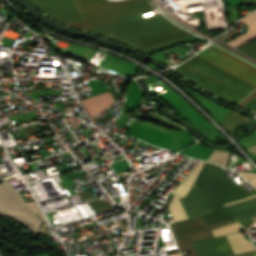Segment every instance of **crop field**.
Instances as JSON below:
<instances>
[{
    "mask_svg": "<svg viewBox=\"0 0 256 256\" xmlns=\"http://www.w3.org/2000/svg\"><path fill=\"white\" fill-rule=\"evenodd\" d=\"M173 24L158 14L98 34L121 41L144 52L193 36Z\"/></svg>",
    "mask_w": 256,
    "mask_h": 256,
    "instance_id": "1",
    "label": "crop field"
},
{
    "mask_svg": "<svg viewBox=\"0 0 256 256\" xmlns=\"http://www.w3.org/2000/svg\"><path fill=\"white\" fill-rule=\"evenodd\" d=\"M175 71L203 90L234 105L255 89L196 56L175 67Z\"/></svg>",
    "mask_w": 256,
    "mask_h": 256,
    "instance_id": "2",
    "label": "crop field"
},
{
    "mask_svg": "<svg viewBox=\"0 0 256 256\" xmlns=\"http://www.w3.org/2000/svg\"><path fill=\"white\" fill-rule=\"evenodd\" d=\"M83 20L70 25L79 29H89L131 15H135L154 7L147 0H73Z\"/></svg>",
    "mask_w": 256,
    "mask_h": 256,
    "instance_id": "3",
    "label": "crop field"
},
{
    "mask_svg": "<svg viewBox=\"0 0 256 256\" xmlns=\"http://www.w3.org/2000/svg\"><path fill=\"white\" fill-rule=\"evenodd\" d=\"M193 188L203 191L213 211L223 209L221 204L246 197L227 177L223 169L205 163Z\"/></svg>",
    "mask_w": 256,
    "mask_h": 256,
    "instance_id": "4",
    "label": "crop field"
},
{
    "mask_svg": "<svg viewBox=\"0 0 256 256\" xmlns=\"http://www.w3.org/2000/svg\"><path fill=\"white\" fill-rule=\"evenodd\" d=\"M36 212L46 222L34 202L25 203L21 195L6 181L0 184V215H11L36 233L42 224L34 214Z\"/></svg>",
    "mask_w": 256,
    "mask_h": 256,
    "instance_id": "5",
    "label": "crop field"
},
{
    "mask_svg": "<svg viewBox=\"0 0 256 256\" xmlns=\"http://www.w3.org/2000/svg\"><path fill=\"white\" fill-rule=\"evenodd\" d=\"M197 56L256 87V68H252L251 65L212 45Z\"/></svg>",
    "mask_w": 256,
    "mask_h": 256,
    "instance_id": "6",
    "label": "crop field"
},
{
    "mask_svg": "<svg viewBox=\"0 0 256 256\" xmlns=\"http://www.w3.org/2000/svg\"><path fill=\"white\" fill-rule=\"evenodd\" d=\"M34 5L51 18L65 23L82 21L72 0H31Z\"/></svg>",
    "mask_w": 256,
    "mask_h": 256,
    "instance_id": "7",
    "label": "crop field"
},
{
    "mask_svg": "<svg viewBox=\"0 0 256 256\" xmlns=\"http://www.w3.org/2000/svg\"><path fill=\"white\" fill-rule=\"evenodd\" d=\"M203 164L204 162L199 161L195 168L187 175V177L173 190L172 194H174V196L169 207L173 222L187 219L177 198L186 196L193 182L197 178Z\"/></svg>",
    "mask_w": 256,
    "mask_h": 256,
    "instance_id": "8",
    "label": "crop field"
},
{
    "mask_svg": "<svg viewBox=\"0 0 256 256\" xmlns=\"http://www.w3.org/2000/svg\"><path fill=\"white\" fill-rule=\"evenodd\" d=\"M198 256H229L233 252L225 236L192 243Z\"/></svg>",
    "mask_w": 256,
    "mask_h": 256,
    "instance_id": "9",
    "label": "crop field"
},
{
    "mask_svg": "<svg viewBox=\"0 0 256 256\" xmlns=\"http://www.w3.org/2000/svg\"><path fill=\"white\" fill-rule=\"evenodd\" d=\"M170 227H171V231L178 243L180 250L182 251V250L188 249L191 256H196V254L193 250V247H192L191 243L189 242V239L187 238V239L180 240L178 234L206 228V225L201 220V218L197 217L194 219L174 223V224H171Z\"/></svg>",
    "mask_w": 256,
    "mask_h": 256,
    "instance_id": "10",
    "label": "crop field"
},
{
    "mask_svg": "<svg viewBox=\"0 0 256 256\" xmlns=\"http://www.w3.org/2000/svg\"><path fill=\"white\" fill-rule=\"evenodd\" d=\"M82 105L84 106L86 112L92 119L101 111L106 109L112 103H114V99L109 92L103 93L97 96H93L84 100H81Z\"/></svg>",
    "mask_w": 256,
    "mask_h": 256,
    "instance_id": "11",
    "label": "crop field"
},
{
    "mask_svg": "<svg viewBox=\"0 0 256 256\" xmlns=\"http://www.w3.org/2000/svg\"><path fill=\"white\" fill-rule=\"evenodd\" d=\"M237 221L238 220H237V218L235 216V217H232L230 219H227V220H224V221H221V222H218V223H214V224L208 225V228H206V229H202V230H198V231H194V232H189V233L181 234L179 236H180L181 239L189 237L191 242L197 241V240L206 239V238H212L213 235L211 234L210 230L218 228V227H221V226H224V225H227V224H230V223H234V222H237Z\"/></svg>",
    "mask_w": 256,
    "mask_h": 256,
    "instance_id": "12",
    "label": "crop field"
},
{
    "mask_svg": "<svg viewBox=\"0 0 256 256\" xmlns=\"http://www.w3.org/2000/svg\"><path fill=\"white\" fill-rule=\"evenodd\" d=\"M243 23L249 26L247 33L239 36L238 38L228 42L227 44L236 47L254 37H256V11L247 15L242 20Z\"/></svg>",
    "mask_w": 256,
    "mask_h": 256,
    "instance_id": "13",
    "label": "crop field"
},
{
    "mask_svg": "<svg viewBox=\"0 0 256 256\" xmlns=\"http://www.w3.org/2000/svg\"><path fill=\"white\" fill-rule=\"evenodd\" d=\"M226 238L235 254L255 250L252 242L246 241L242 233L227 235Z\"/></svg>",
    "mask_w": 256,
    "mask_h": 256,
    "instance_id": "14",
    "label": "crop field"
},
{
    "mask_svg": "<svg viewBox=\"0 0 256 256\" xmlns=\"http://www.w3.org/2000/svg\"><path fill=\"white\" fill-rule=\"evenodd\" d=\"M243 116V115H242ZM236 113L230 112L225 118L220 121V124L231 134L236 126L245 122H254V120L242 117Z\"/></svg>",
    "mask_w": 256,
    "mask_h": 256,
    "instance_id": "15",
    "label": "crop field"
},
{
    "mask_svg": "<svg viewBox=\"0 0 256 256\" xmlns=\"http://www.w3.org/2000/svg\"><path fill=\"white\" fill-rule=\"evenodd\" d=\"M232 216H234L233 212L229 210H220L208 215L201 216V218L205 222V224L208 225L210 223L217 222Z\"/></svg>",
    "mask_w": 256,
    "mask_h": 256,
    "instance_id": "16",
    "label": "crop field"
},
{
    "mask_svg": "<svg viewBox=\"0 0 256 256\" xmlns=\"http://www.w3.org/2000/svg\"><path fill=\"white\" fill-rule=\"evenodd\" d=\"M230 154L231 153H228V152L214 150L212 152L211 156L209 157L208 161L214 162V163H217V164H220V165L226 167L229 157H230Z\"/></svg>",
    "mask_w": 256,
    "mask_h": 256,
    "instance_id": "17",
    "label": "crop field"
},
{
    "mask_svg": "<svg viewBox=\"0 0 256 256\" xmlns=\"http://www.w3.org/2000/svg\"><path fill=\"white\" fill-rule=\"evenodd\" d=\"M242 229L243 228L240 226L239 222H237V223H234V224H231V225L221 227V228L216 229V230H212L211 232L213 233L214 237H216V236H220V235H223V234L239 232Z\"/></svg>",
    "mask_w": 256,
    "mask_h": 256,
    "instance_id": "18",
    "label": "crop field"
},
{
    "mask_svg": "<svg viewBox=\"0 0 256 256\" xmlns=\"http://www.w3.org/2000/svg\"><path fill=\"white\" fill-rule=\"evenodd\" d=\"M252 215H256V208L236 213V216L238 217L241 225L252 223Z\"/></svg>",
    "mask_w": 256,
    "mask_h": 256,
    "instance_id": "19",
    "label": "crop field"
},
{
    "mask_svg": "<svg viewBox=\"0 0 256 256\" xmlns=\"http://www.w3.org/2000/svg\"><path fill=\"white\" fill-rule=\"evenodd\" d=\"M256 90L250 94L244 101H242L238 106L252 111L256 107Z\"/></svg>",
    "mask_w": 256,
    "mask_h": 256,
    "instance_id": "20",
    "label": "crop field"
},
{
    "mask_svg": "<svg viewBox=\"0 0 256 256\" xmlns=\"http://www.w3.org/2000/svg\"><path fill=\"white\" fill-rule=\"evenodd\" d=\"M89 205L92 207V209L95 211V213L103 211L105 209H108V208H111L114 206L112 204H109V203L104 202L99 199L89 202Z\"/></svg>",
    "mask_w": 256,
    "mask_h": 256,
    "instance_id": "21",
    "label": "crop field"
},
{
    "mask_svg": "<svg viewBox=\"0 0 256 256\" xmlns=\"http://www.w3.org/2000/svg\"><path fill=\"white\" fill-rule=\"evenodd\" d=\"M126 23H127L126 20L123 19V20L113 22V23H110V24H107V25H104V26H101V27H98V28H94V29H91V30H88V31L96 33V32H100V31H103V30H106V29L117 27V26H120V25H123V24H126Z\"/></svg>",
    "mask_w": 256,
    "mask_h": 256,
    "instance_id": "22",
    "label": "crop field"
},
{
    "mask_svg": "<svg viewBox=\"0 0 256 256\" xmlns=\"http://www.w3.org/2000/svg\"><path fill=\"white\" fill-rule=\"evenodd\" d=\"M21 130L23 131L25 136L31 135V134L36 133V132H40V129L37 126V124L22 127Z\"/></svg>",
    "mask_w": 256,
    "mask_h": 256,
    "instance_id": "23",
    "label": "crop field"
},
{
    "mask_svg": "<svg viewBox=\"0 0 256 256\" xmlns=\"http://www.w3.org/2000/svg\"><path fill=\"white\" fill-rule=\"evenodd\" d=\"M233 256H256V251L253 252H248V253H242V254H237Z\"/></svg>",
    "mask_w": 256,
    "mask_h": 256,
    "instance_id": "24",
    "label": "crop field"
},
{
    "mask_svg": "<svg viewBox=\"0 0 256 256\" xmlns=\"http://www.w3.org/2000/svg\"><path fill=\"white\" fill-rule=\"evenodd\" d=\"M252 197H256V194L255 195H252V196H249V197H246L242 200H239V201H235V202H231V203H228V204H224L223 206H226V205H230V204H234V203H238V202H241V201H244L246 199H249V198H252Z\"/></svg>",
    "mask_w": 256,
    "mask_h": 256,
    "instance_id": "25",
    "label": "crop field"
},
{
    "mask_svg": "<svg viewBox=\"0 0 256 256\" xmlns=\"http://www.w3.org/2000/svg\"><path fill=\"white\" fill-rule=\"evenodd\" d=\"M245 173H246V172H245ZM246 175H247L248 177H250L253 181L256 182V174H254V173H246Z\"/></svg>",
    "mask_w": 256,
    "mask_h": 256,
    "instance_id": "26",
    "label": "crop field"
},
{
    "mask_svg": "<svg viewBox=\"0 0 256 256\" xmlns=\"http://www.w3.org/2000/svg\"><path fill=\"white\" fill-rule=\"evenodd\" d=\"M242 176H244L248 181H251L250 183L256 187V183H254L250 178H248L244 172H239Z\"/></svg>",
    "mask_w": 256,
    "mask_h": 256,
    "instance_id": "27",
    "label": "crop field"
},
{
    "mask_svg": "<svg viewBox=\"0 0 256 256\" xmlns=\"http://www.w3.org/2000/svg\"><path fill=\"white\" fill-rule=\"evenodd\" d=\"M248 150L256 154V146H254V147H252V148H250Z\"/></svg>",
    "mask_w": 256,
    "mask_h": 256,
    "instance_id": "28",
    "label": "crop field"
},
{
    "mask_svg": "<svg viewBox=\"0 0 256 256\" xmlns=\"http://www.w3.org/2000/svg\"><path fill=\"white\" fill-rule=\"evenodd\" d=\"M168 256H181L180 253H176V254H170Z\"/></svg>",
    "mask_w": 256,
    "mask_h": 256,
    "instance_id": "29",
    "label": "crop field"
},
{
    "mask_svg": "<svg viewBox=\"0 0 256 256\" xmlns=\"http://www.w3.org/2000/svg\"><path fill=\"white\" fill-rule=\"evenodd\" d=\"M244 2H247V1H253V0H243Z\"/></svg>",
    "mask_w": 256,
    "mask_h": 256,
    "instance_id": "30",
    "label": "crop field"
},
{
    "mask_svg": "<svg viewBox=\"0 0 256 256\" xmlns=\"http://www.w3.org/2000/svg\"><path fill=\"white\" fill-rule=\"evenodd\" d=\"M41 256H48L47 254H45V255H41Z\"/></svg>",
    "mask_w": 256,
    "mask_h": 256,
    "instance_id": "31",
    "label": "crop field"
},
{
    "mask_svg": "<svg viewBox=\"0 0 256 256\" xmlns=\"http://www.w3.org/2000/svg\"><path fill=\"white\" fill-rule=\"evenodd\" d=\"M253 111L256 112V109H254Z\"/></svg>",
    "mask_w": 256,
    "mask_h": 256,
    "instance_id": "32",
    "label": "crop field"
},
{
    "mask_svg": "<svg viewBox=\"0 0 256 256\" xmlns=\"http://www.w3.org/2000/svg\"><path fill=\"white\" fill-rule=\"evenodd\" d=\"M0 164H2V163L0 162Z\"/></svg>",
    "mask_w": 256,
    "mask_h": 256,
    "instance_id": "33",
    "label": "crop field"
},
{
    "mask_svg": "<svg viewBox=\"0 0 256 256\" xmlns=\"http://www.w3.org/2000/svg\"><path fill=\"white\" fill-rule=\"evenodd\" d=\"M256 246V245H255Z\"/></svg>",
    "mask_w": 256,
    "mask_h": 256,
    "instance_id": "34",
    "label": "crop field"
}]
</instances>
